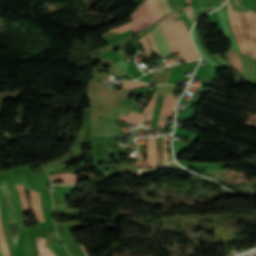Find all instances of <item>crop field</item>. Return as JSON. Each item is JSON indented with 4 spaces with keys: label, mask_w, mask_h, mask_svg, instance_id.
Masks as SVG:
<instances>
[{
    "label": "crop field",
    "mask_w": 256,
    "mask_h": 256,
    "mask_svg": "<svg viewBox=\"0 0 256 256\" xmlns=\"http://www.w3.org/2000/svg\"><path fill=\"white\" fill-rule=\"evenodd\" d=\"M160 25L172 53H179L182 62L199 58L183 20L165 22Z\"/></svg>",
    "instance_id": "obj_1"
},
{
    "label": "crop field",
    "mask_w": 256,
    "mask_h": 256,
    "mask_svg": "<svg viewBox=\"0 0 256 256\" xmlns=\"http://www.w3.org/2000/svg\"><path fill=\"white\" fill-rule=\"evenodd\" d=\"M130 17L134 22L133 34L157 23L145 3Z\"/></svg>",
    "instance_id": "obj_2"
},
{
    "label": "crop field",
    "mask_w": 256,
    "mask_h": 256,
    "mask_svg": "<svg viewBox=\"0 0 256 256\" xmlns=\"http://www.w3.org/2000/svg\"><path fill=\"white\" fill-rule=\"evenodd\" d=\"M0 210H1L2 226L4 229L8 249L10 253H12L15 250V248H14V244H13L10 229H9V221H8V216L6 211V205H5L4 197L1 191H0Z\"/></svg>",
    "instance_id": "obj_3"
},
{
    "label": "crop field",
    "mask_w": 256,
    "mask_h": 256,
    "mask_svg": "<svg viewBox=\"0 0 256 256\" xmlns=\"http://www.w3.org/2000/svg\"><path fill=\"white\" fill-rule=\"evenodd\" d=\"M151 34L154 39L157 50H158L159 54L161 55L162 59L170 56L171 51H170L169 46L165 40V37L163 35L160 25L156 29H154L151 32Z\"/></svg>",
    "instance_id": "obj_4"
},
{
    "label": "crop field",
    "mask_w": 256,
    "mask_h": 256,
    "mask_svg": "<svg viewBox=\"0 0 256 256\" xmlns=\"http://www.w3.org/2000/svg\"><path fill=\"white\" fill-rule=\"evenodd\" d=\"M30 206L37 221L44 220L39 194L31 190H30Z\"/></svg>",
    "instance_id": "obj_5"
},
{
    "label": "crop field",
    "mask_w": 256,
    "mask_h": 256,
    "mask_svg": "<svg viewBox=\"0 0 256 256\" xmlns=\"http://www.w3.org/2000/svg\"><path fill=\"white\" fill-rule=\"evenodd\" d=\"M16 197H17V201H18V205H19V210H20V215H21V221H22V228H23V236H24V243H25V255L29 256V247H28V240H27V234H26V227H25V222H24V216H23V212H22V208H21V203H20V197L19 194L15 188L14 185H11Z\"/></svg>",
    "instance_id": "obj_6"
},
{
    "label": "crop field",
    "mask_w": 256,
    "mask_h": 256,
    "mask_svg": "<svg viewBox=\"0 0 256 256\" xmlns=\"http://www.w3.org/2000/svg\"><path fill=\"white\" fill-rule=\"evenodd\" d=\"M122 115L119 117V120H123V121H126L128 123L138 124V125L142 124L143 119L145 117L144 114L136 113V112H133V111H131L129 117L122 116Z\"/></svg>",
    "instance_id": "obj_7"
},
{
    "label": "crop field",
    "mask_w": 256,
    "mask_h": 256,
    "mask_svg": "<svg viewBox=\"0 0 256 256\" xmlns=\"http://www.w3.org/2000/svg\"><path fill=\"white\" fill-rule=\"evenodd\" d=\"M40 256H56L47 246L45 239L36 238Z\"/></svg>",
    "instance_id": "obj_8"
},
{
    "label": "crop field",
    "mask_w": 256,
    "mask_h": 256,
    "mask_svg": "<svg viewBox=\"0 0 256 256\" xmlns=\"http://www.w3.org/2000/svg\"><path fill=\"white\" fill-rule=\"evenodd\" d=\"M145 3L157 21L164 16L163 12L159 8L155 0H147Z\"/></svg>",
    "instance_id": "obj_9"
},
{
    "label": "crop field",
    "mask_w": 256,
    "mask_h": 256,
    "mask_svg": "<svg viewBox=\"0 0 256 256\" xmlns=\"http://www.w3.org/2000/svg\"><path fill=\"white\" fill-rule=\"evenodd\" d=\"M171 98L172 97H168V96H165V98H164L163 110H162V114L160 113L161 118H160L158 126H165V124H166V119H167V114H168V109H169Z\"/></svg>",
    "instance_id": "obj_10"
},
{
    "label": "crop field",
    "mask_w": 256,
    "mask_h": 256,
    "mask_svg": "<svg viewBox=\"0 0 256 256\" xmlns=\"http://www.w3.org/2000/svg\"><path fill=\"white\" fill-rule=\"evenodd\" d=\"M228 55L238 74H240L242 71L243 64L239 54L235 52H228Z\"/></svg>",
    "instance_id": "obj_11"
},
{
    "label": "crop field",
    "mask_w": 256,
    "mask_h": 256,
    "mask_svg": "<svg viewBox=\"0 0 256 256\" xmlns=\"http://www.w3.org/2000/svg\"><path fill=\"white\" fill-rule=\"evenodd\" d=\"M51 181L60 180V181H78L80 180L76 175L71 173L59 174L50 176Z\"/></svg>",
    "instance_id": "obj_12"
},
{
    "label": "crop field",
    "mask_w": 256,
    "mask_h": 256,
    "mask_svg": "<svg viewBox=\"0 0 256 256\" xmlns=\"http://www.w3.org/2000/svg\"><path fill=\"white\" fill-rule=\"evenodd\" d=\"M16 187L20 193L24 213L30 212L29 202H28L24 187L19 185H16Z\"/></svg>",
    "instance_id": "obj_13"
},
{
    "label": "crop field",
    "mask_w": 256,
    "mask_h": 256,
    "mask_svg": "<svg viewBox=\"0 0 256 256\" xmlns=\"http://www.w3.org/2000/svg\"><path fill=\"white\" fill-rule=\"evenodd\" d=\"M233 12H234V16H235L238 32H239V37H240L242 45H243V49H244L245 53L248 54L247 46H246V43H245L243 31H242L241 22H240V19H239V16H238V10H235Z\"/></svg>",
    "instance_id": "obj_14"
},
{
    "label": "crop field",
    "mask_w": 256,
    "mask_h": 256,
    "mask_svg": "<svg viewBox=\"0 0 256 256\" xmlns=\"http://www.w3.org/2000/svg\"><path fill=\"white\" fill-rule=\"evenodd\" d=\"M149 167H155V138H149Z\"/></svg>",
    "instance_id": "obj_15"
},
{
    "label": "crop field",
    "mask_w": 256,
    "mask_h": 256,
    "mask_svg": "<svg viewBox=\"0 0 256 256\" xmlns=\"http://www.w3.org/2000/svg\"><path fill=\"white\" fill-rule=\"evenodd\" d=\"M239 16H240V19H241V22H242V25H243L244 35H245L247 46H248V49H249V52H250V56H252V46H251V42H250L249 36H248V29H247L244 13L239 12Z\"/></svg>",
    "instance_id": "obj_16"
},
{
    "label": "crop field",
    "mask_w": 256,
    "mask_h": 256,
    "mask_svg": "<svg viewBox=\"0 0 256 256\" xmlns=\"http://www.w3.org/2000/svg\"><path fill=\"white\" fill-rule=\"evenodd\" d=\"M223 13H224V17H225V20H226L228 32H229L231 41H232V43H233V46H234V48H235L236 51L241 52L240 49H239V47H238V44H237V42H236V40H235V38H234V36H233V33H232V29H231V25H230V21H229V17H228V11L225 10V11H223Z\"/></svg>",
    "instance_id": "obj_17"
},
{
    "label": "crop field",
    "mask_w": 256,
    "mask_h": 256,
    "mask_svg": "<svg viewBox=\"0 0 256 256\" xmlns=\"http://www.w3.org/2000/svg\"><path fill=\"white\" fill-rule=\"evenodd\" d=\"M227 6H228L229 17H230L232 28L234 30L235 37L237 39V42L239 44V47H240L241 51L244 52L243 49H242V46H241V42H240V40L238 38V35H237V28H236L234 16H233L232 9H231V4H228Z\"/></svg>",
    "instance_id": "obj_18"
},
{
    "label": "crop field",
    "mask_w": 256,
    "mask_h": 256,
    "mask_svg": "<svg viewBox=\"0 0 256 256\" xmlns=\"http://www.w3.org/2000/svg\"><path fill=\"white\" fill-rule=\"evenodd\" d=\"M245 15H246L247 24H248V28H249V32H250V40H251L252 46H253V57H254V54H255V42H254L253 28H252V23H251L249 11L246 12Z\"/></svg>",
    "instance_id": "obj_19"
},
{
    "label": "crop field",
    "mask_w": 256,
    "mask_h": 256,
    "mask_svg": "<svg viewBox=\"0 0 256 256\" xmlns=\"http://www.w3.org/2000/svg\"><path fill=\"white\" fill-rule=\"evenodd\" d=\"M10 192H11V195H12V198H13V201H14V204H15V209H16V215H17V221H18V226H19V233L22 232V228H21V221H20V215H19V210H18V206H17V202H16V198H15V194L10 186V184H7Z\"/></svg>",
    "instance_id": "obj_20"
},
{
    "label": "crop field",
    "mask_w": 256,
    "mask_h": 256,
    "mask_svg": "<svg viewBox=\"0 0 256 256\" xmlns=\"http://www.w3.org/2000/svg\"><path fill=\"white\" fill-rule=\"evenodd\" d=\"M0 245H1L3 255L4 256H9L10 254L8 252V249H7L5 240H4L3 232H2V229H1V218H0Z\"/></svg>",
    "instance_id": "obj_21"
},
{
    "label": "crop field",
    "mask_w": 256,
    "mask_h": 256,
    "mask_svg": "<svg viewBox=\"0 0 256 256\" xmlns=\"http://www.w3.org/2000/svg\"><path fill=\"white\" fill-rule=\"evenodd\" d=\"M148 84L142 82H124L123 89L146 87Z\"/></svg>",
    "instance_id": "obj_22"
},
{
    "label": "crop field",
    "mask_w": 256,
    "mask_h": 256,
    "mask_svg": "<svg viewBox=\"0 0 256 256\" xmlns=\"http://www.w3.org/2000/svg\"><path fill=\"white\" fill-rule=\"evenodd\" d=\"M159 6L161 7L162 11L164 12L165 15L173 12L167 2V0H157Z\"/></svg>",
    "instance_id": "obj_23"
},
{
    "label": "crop field",
    "mask_w": 256,
    "mask_h": 256,
    "mask_svg": "<svg viewBox=\"0 0 256 256\" xmlns=\"http://www.w3.org/2000/svg\"><path fill=\"white\" fill-rule=\"evenodd\" d=\"M131 28H132V24H131V21H130V22H128V23H125V24H123V25H121V26H118V27H116V28L110 30V32H119V33H123V32H125V31H127V30H129V29H131Z\"/></svg>",
    "instance_id": "obj_24"
},
{
    "label": "crop field",
    "mask_w": 256,
    "mask_h": 256,
    "mask_svg": "<svg viewBox=\"0 0 256 256\" xmlns=\"http://www.w3.org/2000/svg\"><path fill=\"white\" fill-rule=\"evenodd\" d=\"M146 169L148 168V138L145 139ZM141 170L145 169L144 158H140Z\"/></svg>",
    "instance_id": "obj_25"
},
{
    "label": "crop field",
    "mask_w": 256,
    "mask_h": 256,
    "mask_svg": "<svg viewBox=\"0 0 256 256\" xmlns=\"http://www.w3.org/2000/svg\"><path fill=\"white\" fill-rule=\"evenodd\" d=\"M145 52H146V55H147V59L151 56L150 54V51H149V48H148V45H147V41H146V38L144 37L142 42H141Z\"/></svg>",
    "instance_id": "obj_26"
},
{
    "label": "crop field",
    "mask_w": 256,
    "mask_h": 256,
    "mask_svg": "<svg viewBox=\"0 0 256 256\" xmlns=\"http://www.w3.org/2000/svg\"><path fill=\"white\" fill-rule=\"evenodd\" d=\"M195 29H196L197 37H198V40H199V43H200L202 49L209 55V57L212 56V55L207 51L206 47L203 45L202 39H201V37H200V35H199V33H198L197 25L195 26Z\"/></svg>",
    "instance_id": "obj_27"
},
{
    "label": "crop field",
    "mask_w": 256,
    "mask_h": 256,
    "mask_svg": "<svg viewBox=\"0 0 256 256\" xmlns=\"http://www.w3.org/2000/svg\"><path fill=\"white\" fill-rule=\"evenodd\" d=\"M167 164V138H164V165Z\"/></svg>",
    "instance_id": "obj_28"
},
{
    "label": "crop field",
    "mask_w": 256,
    "mask_h": 256,
    "mask_svg": "<svg viewBox=\"0 0 256 256\" xmlns=\"http://www.w3.org/2000/svg\"><path fill=\"white\" fill-rule=\"evenodd\" d=\"M176 101H177V99H175V98L172 99V101H171V106H170V111H169V114H168V115H172L173 111L175 110Z\"/></svg>",
    "instance_id": "obj_29"
},
{
    "label": "crop field",
    "mask_w": 256,
    "mask_h": 256,
    "mask_svg": "<svg viewBox=\"0 0 256 256\" xmlns=\"http://www.w3.org/2000/svg\"><path fill=\"white\" fill-rule=\"evenodd\" d=\"M130 36H131V35H130ZM130 36H127V37H125V38L119 39V40H117V41H115V42H112L111 44H113V45H119V44H121V43H123V42H125V41H128V40L130 39Z\"/></svg>",
    "instance_id": "obj_30"
},
{
    "label": "crop field",
    "mask_w": 256,
    "mask_h": 256,
    "mask_svg": "<svg viewBox=\"0 0 256 256\" xmlns=\"http://www.w3.org/2000/svg\"><path fill=\"white\" fill-rule=\"evenodd\" d=\"M178 15H179V13H178V11H176V12H174L173 14L169 15L168 17H166V18H164V19H161L159 22H161V21H167V20L173 19V18H175V17L178 16Z\"/></svg>",
    "instance_id": "obj_31"
},
{
    "label": "crop field",
    "mask_w": 256,
    "mask_h": 256,
    "mask_svg": "<svg viewBox=\"0 0 256 256\" xmlns=\"http://www.w3.org/2000/svg\"><path fill=\"white\" fill-rule=\"evenodd\" d=\"M155 100H156V99H155ZM154 104H155V101L153 102V104H152V106H151V108H150V110H149V112H148V114H147V116H146V119H145V120H147V121H151V116H152Z\"/></svg>",
    "instance_id": "obj_32"
},
{
    "label": "crop field",
    "mask_w": 256,
    "mask_h": 256,
    "mask_svg": "<svg viewBox=\"0 0 256 256\" xmlns=\"http://www.w3.org/2000/svg\"><path fill=\"white\" fill-rule=\"evenodd\" d=\"M251 17H252V21H253V25H254V31H255V41H256V14L251 12Z\"/></svg>",
    "instance_id": "obj_33"
},
{
    "label": "crop field",
    "mask_w": 256,
    "mask_h": 256,
    "mask_svg": "<svg viewBox=\"0 0 256 256\" xmlns=\"http://www.w3.org/2000/svg\"><path fill=\"white\" fill-rule=\"evenodd\" d=\"M155 96H156V94L154 93L153 96H152V98H151L150 101L148 102L147 106H146L145 109L143 110V113H145V114L147 113V111H148V109H149L151 103L153 102Z\"/></svg>",
    "instance_id": "obj_34"
},
{
    "label": "crop field",
    "mask_w": 256,
    "mask_h": 256,
    "mask_svg": "<svg viewBox=\"0 0 256 256\" xmlns=\"http://www.w3.org/2000/svg\"><path fill=\"white\" fill-rule=\"evenodd\" d=\"M187 15H188L190 21H195L197 19V17H196V15H195L193 10L190 11V12H187Z\"/></svg>",
    "instance_id": "obj_35"
},
{
    "label": "crop field",
    "mask_w": 256,
    "mask_h": 256,
    "mask_svg": "<svg viewBox=\"0 0 256 256\" xmlns=\"http://www.w3.org/2000/svg\"><path fill=\"white\" fill-rule=\"evenodd\" d=\"M159 166V146H156V167Z\"/></svg>",
    "instance_id": "obj_36"
},
{
    "label": "crop field",
    "mask_w": 256,
    "mask_h": 256,
    "mask_svg": "<svg viewBox=\"0 0 256 256\" xmlns=\"http://www.w3.org/2000/svg\"><path fill=\"white\" fill-rule=\"evenodd\" d=\"M223 57H224L225 61L227 62V64L230 66V68L234 69L226 53L223 54Z\"/></svg>",
    "instance_id": "obj_37"
},
{
    "label": "crop field",
    "mask_w": 256,
    "mask_h": 256,
    "mask_svg": "<svg viewBox=\"0 0 256 256\" xmlns=\"http://www.w3.org/2000/svg\"><path fill=\"white\" fill-rule=\"evenodd\" d=\"M146 37H147V39H148V42H149V45H150V48H151L153 54H155V51H154V48H153V46H152V43H151V40H150L149 35H146Z\"/></svg>",
    "instance_id": "obj_38"
},
{
    "label": "crop field",
    "mask_w": 256,
    "mask_h": 256,
    "mask_svg": "<svg viewBox=\"0 0 256 256\" xmlns=\"http://www.w3.org/2000/svg\"><path fill=\"white\" fill-rule=\"evenodd\" d=\"M214 62H216L221 68H224V66L215 58V57H212L211 58Z\"/></svg>",
    "instance_id": "obj_39"
},
{
    "label": "crop field",
    "mask_w": 256,
    "mask_h": 256,
    "mask_svg": "<svg viewBox=\"0 0 256 256\" xmlns=\"http://www.w3.org/2000/svg\"><path fill=\"white\" fill-rule=\"evenodd\" d=\"M81 247H82V249H83V251H84L85 256H89V255H88V252H87V250H86V248H85V246H84V245H81Z\"/></svg>",
    "instance_id": "obj_40"
},
{
    "label": "crop field",
    "mask_w": 256,
    "mask_h": 256,
    "mask_svg": "<svg viewBox=\"0 0 256 256\" xmlns=\"http://www.w3.org/2000/svg\"><path fill=\"white\" fill-rule=\"evenodd\" d=\"M183 9H184V11L186 12V11L191 10V9H193V8H192L191 5H189V6L183 7Z\"/></svg>",
    "instance_id": "obj_41"
},
{
    "label": "crop field",
    "mask_w": 256,
    "mask_h": 256,
    "mask_svg": "<svg viewBox=\"0 0 256 256\" xmlns=\"http://www.w3.org/2000/svg\"><path fill=\"white\" fill-rule=\"evenodd\" d=\"M149 35H150V37H151V34L149 33ZM151 40H152V38H151ZM152 43H153V41H152ZM153 45H154V43H153ZM154 48H155V50H156V47H155V45H154ZM156 52H157V50H156ZM157 54H158V52H157ZM159 55V54H158Z\"/></svg>",
    "instance_id": "obj_42"
},
{
    "label": "crop field",
    "mask_w": 256,
    "mask_h": 256,
    "mask_svg": "<svg viewBox=\"0 0 256 256\" xmlns=\"http://www.w3.org/2000/svg\"><path fill=\"white\" fill-rule=\"evenodd\" d=\"M0 256H3L2 253H1V251H0Z\"/></svg>",
    "instance_id": "obj_43"
}]
</instances>
